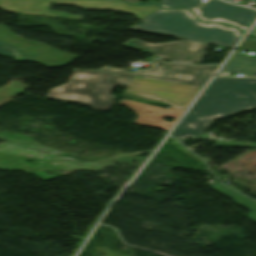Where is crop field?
<instances>
[{
  "label": "crop field",
  "instance_id": "d9b57169",
  "mask_svg": "<svg viewBox=\"0 0 256 256\" xmlns=\"http://www.w3.org/2000/svg\"><path fill=\"white\" fill-rule=\"evenodd\" d=\"M125 1H127L129 3H139L140 0H125Z\"/></svg>",
  "mask_w": 256,
  "mask_h": 256
},
{
  "label": "crop field",
  "instance_id": "d8731c3e",
  "mask_svg": "<svg viewBox=\"0 0 256 256\" xmlns=\"http://www.w3.org/2000/svg\"><path fill=\"white\" fill-rule=\"evenodd\" d=\"M0 40L22 48L29 54L32 61L47 67L61 66L78 57L77 55L63 53L41 43L20 38L8 27L1 24Z\"/></svg>",
  "mask_w": 256,
  "mask_h": 256
},
{
  "label": "crop field",
  "instance_id": "dd49c442",
  "mask_svg": "<svg viewBox=\"0 0 256 256\" xmlns=\"http://www.w3.org/2000/svg\"><path fill=\"white\" fill-rule=\"evenodd\" d=\"M199 89L195 90L177 85L134 77L125 91L156 98L171 105L182 107L187 101L193 99Z\"/></svg>",
  "mask_w": 256,
  "mask_h": 256
},
{
  "label": "crop field",
  "instance_id": "733c2abd",
  "mask_svg": "<svg viewBox=\"0 0 256 256\" xmlns=\"http://www.w3.org/2000/svg\"><path fill=\"white\" fill-rule=\"evenodd\" d=\"M249 35H254V36H256V33H255V32H251Z\"/></svg>",
  "mask_w": 256,
  "mask_h": 256
},
{
  "label": "crop field",
  "instance_id": "214f88e0",
  "mask_svg": "<svg viewBox=\"0 0 256 256\" xmlns=\"http://www.w3.org/2000/svg\"><path fill=\"white\" fill-rule=\"evenodd\" d=\"M252 76H255L256 77V71L254 72V74Z\"/></svg>",
  "mask_w": 256,
  "mask_h": 256
},
{
  "label": "crop field",
  "instance_id": "8a807250",
  "mask_svg": "<svg viewBox=\"0 0 256 256\" xmlns=\"http://www.w3.org/2000/svg\"><path fill=\"white\" fill-rule=\"evenodd\" d=\"M256 108V79L215 77L175 132L179 141L198 138L215 118Z\"/></svg>",
  "mask_w": 256,
  "mask_h": 256
},
{
  "label": "crop field",
  "instance_id": "cbeb9de0",
  "mask_svg": "<svg viewBox=\"0 0 256 256\" xmlns=\"http://www.w3.org/2000/svg\"><path fill=\"white\" fill-rule=\"evenodd\" d=\"M18 50L19 49H16V48L0 41V56L10 57V58L14 59L15 61L23 62V57L17 53ZM19 51L23 55H25L24 52H22L21 50H19ZM25 57L28 60L26 55H25Z\"/></svg>",
  "mask_w": 256,
  "mask_h": 256
},
{
  "label": "crop field",
  "instance_id": "f4fd0767",
  "mask_svg": "<svg viewBox=\"0 0 256 256\" xmlns=\"http://www.w3.org/2000/svg\"><path fill=\"white\" fill-rule=\"evenodd\" d=\"M122 45L155 55L150 59L160 56L173 61L187 63H200L202 61L203 54L207 46L205 44H199L188 41L151 45L136 39H130Z\"/></svg>",
  "mask_w": 256,
  "mask_h": 256
},
{
  "label": "crop field",
  "instance_id": "4a817a6b",
  "mask_svg": "<svg viewBox=\"0 0 256 256\" xmlns=\"http://www.w3.org/2000/svg\"><path fill=\"white\" fill-rule=\"evenodd\" d=\"M172 84H173V83H172ZM177 85H179V84H177ZM181 86H184V85H181ZM186 87H190V86H186ZM190 88L198 89V88H196V87H190Z\"/></svg>",
  "mask_w": 256,
  "mask_h": 256
},
{
  "label": "crop field",
  "instance_id": "5142ce71",
  "mask_svg": "<svg viewBox=\"0 0 256 256\" xmlns=\"http://www.w3.org/2000/svg\"><path fill=\"white\" fill-rule=\"evenodd\" d=\"M201 0H161L160 5L164 8L170 7H195L200 5Z\"/></svg>",
  "mask_w": 256,
  "mask_h": 256
},
{
  "label": "crop field",
  "instance_id": "ac0d7876",
  "mask_svg": "<svg viewBox=\"0 0 256 256\" xmlns=\"http://www.w3.org/2000/svg\"><path fill=\"white\" fill-rule=\"evenodd\" d=\"M132 29L176 39L232 47L241 37L233 27L218 23H200L187 9L157 11L141 19Z\"/></svg>",
  "mask_w": 256,
  "mask_h": 256
},
{
  "label": "crop field",
  "instance_id": "28ad6ade",
  "mask_svg": "<svg viewBox=\"0 0 256 256\" xmlns=\"http://www.w3.org/2000/svg\"><path fill=\"white\" fill-rule=\"evenodd\" d=\"M51 3L53 0H0V8L14 13L81 19L80 16L50 11Z\"/></svg>",
  "mask_w": 256,
  "mask_h": 256
},
{
  "label": "crop field",
  "instance_id": "92a150f3",
  "mask_svg": "<svg viewBox=\"0 0 256 256\" xmlns=\"http://www.w3.org/2000/svg\"><path fill=\"white\" fill-rule=\"evenodd\" d=\"M253 29H254V28H253ZM253 31H255V32H256V27H255V29H254Z\"/></svg>",
  "mask_w": 256,
  "mask_h": 256
},
{
  "label": "crop field",
  "instance_id": "5a996713",
  "mask_svg": "<svg viewBox=\"0 0 256 256\" xmlns=\"http://www.w3.org/2000/svg\"><path fill=\"white\" fill-rule=\"evenodd\" d=\"M119 105L126 106L137 116L133 123L152 126L164 130H169L183 112L182 110L174 107H171L169 110H165L161 107L151 106L125 99H122ZM143 111H149L153 114H146L143 113ZM164 117H171L175 119L171 123L160 121ZM145 121L153 122V124L146 123Z\"/></svg>",
  "mask_w": 256,
  "mask_h": 256
},
{
  "label": "crop field",
  "instance_id": "e52e79f7",
  "mask_svg": "<svg viewBox=\"0 0 256 256\" xmlns=\"http://www.w3.org/2000/svg\"><path fill=\"white\" fill-rule=\"evenodd\" d=\"M202 21H218L235 26L245 32L256 18V11L229 5L219 0H211L206 4L190 8Z\"/></svg>",
  "mask_w": 256,
  "mask_h": 256
},
{
  "label": "crop field",
  "instance_id": "d1516ede",
  "mask_svg": "<svg viewBox=\"0 0 256 256\" xmlns=\"http://www.w3.org/2000/svg\"><path fill=\"white\" fill-rule=\"evenodd\" d=\"M236 68H238V70H236ZM255 70H256L255 58L234 53L217 75L233 76V75H229L230 72L252 73Z\"/></svg>",
  "mask_w": 256,
  "mask_h": 256
},
{
  "label": "crop field",
  "instance_id": "412701ff",
  "mask_svg": "<svg viewBox=\"0 0 256 256\" xmlns=\"http://www.w3.org/2000/svg\"><path fill=\"white\" fill-rule=\"evenodd\" d=\"M217 66L199 67L179 63L167 64L157 59L152 62L150 69L138 70L137 76L202 87Z\"/></svg>",
  "mask_w": 256,
  "mask_h": 256
},
{
  "label": "crop field",
  "instance_id": "3316defc",
  "mask_svg": "<svg viewBox=\"0 0 256 256\" xmlns=\"http://www.w3.org/2000/svg\"><path fill=\"white\" fill-rule=\"evenodd\" d=\"M56 4H69L87 9H110L130 13L141 19L157 10L156 4L146 6H128L120 0H55Z\"/></svg>",
  "mask_w": 256,
  "mask_h": 256
},
{
  "label": "crop field",
  "instance_id": "bc2a9ffb",
  "mask_svg": "<svg viewBox=\"0 0 256 256\" xmlns=\"http://www.w3.org/2000/svg\"><path fill=\"white\" fill-rule=\"evenodd\" d=\"M156 100V99H155ZM189 102H187L183 107H186L188 105Z\"/></svg>",
  "mask_w": 256,
  "mask_h": 256
},
{
  "label": "crop field",
  "instance_id": "22f410ed",
  "mask_svg": "<svg viewBox=\"0 0 256 256\" xmlns=\"http://www.w3.org/2000/svg\"><path fill=\"white\" fill-rule=\"evenodd\" d=\"M212 189L232 198V202L250 210L251 212L247 215L246 218L256 222V201L250 200L232 190H230L229 188L216 183L214 185L210 186Z\"/></svg>",
  "mask_w": 256,
  "mask_h": 256
},
{
  "label": "crop field",
  "instance_id": "34b2d1b8",
  "mask_svg": "<svg viewBox=\"0 0 256 256\" xmlns=\"http://www.w3.org/2000/svg\"><path fill=\"white\" fill-rule=\"evenodd\" d=\"M136 73L104 67L98 71L74 70L68 83L50 90L48 98L69 100L108 111L116 101L110 96L117 86H128Z\"/></svg>",
  "mask_w": 256,
  "mask_h": 256
}]
</instances>
